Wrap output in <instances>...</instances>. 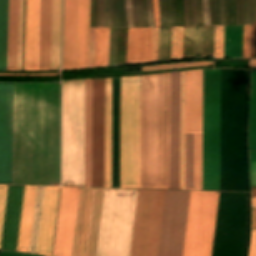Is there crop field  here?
Returning a JSON list of instances; mask_svg holds the SVG:
<instances>
[{"instance_id": "0fb4a251", "label": "crop field", "mask_w": 256, "mask_h": 256, "mask_svg": "<svg viewBox=\"0 0 256 256\" xmlns=\"http://www.w3.org/2000/svg\"><path fill=\"white\" fill-rule=\"evenodd\" d=\"M155 26H160L158 0H153Z\"/></svg>"}, {"instance_id": "1f1604b0", "label": "crop field", "mask_w": 256, "mask_h": 256, "mask_svg": "<svg viewBox=\"0 0 256 256\" xmlns=\"http://www.w3.org/2000/svg\"><path fill=\"white\" fill-rule=\"evenodd\" d=\"M97 38H98V29H96L95 67H96V57H97Z\"/></svg>"}, {"instance_id": "d8731c3e", "label": "crop field", "mask_w": 256, "mask_h": 256, "mask_svg": "<svg viewBox=\"0 0 256 256\" xmlns=\"http://www.w3.org/2000/svg\"><path fill=\"white\" fill-rule=\"evenodd\" d=\"M136 193L105 189L96 256H129Z\"/></svg>"}, {"instance_id": "dbb93151", "label": "crop field", "mask_w": 256, "mask_h": 256, "mask_svg": "<svg viewBox=\"0 0 256 256\" xmlns=\"http://www.w3.org/2000/svg\"><path fill=\"white\" fill-rule=\"evenodd\" d=\"M251 186H256V163L249 162Z\"/></svg>"}, {"instance_id": "b80d0937", "label": "crop field", "mask_w": 256, "mask_h": 256, "mask_svg": "<svg viewBox=\"0 0 256 256\" xmlns=\"http://www.w3.org/2000/svg\"><path fill=\"white\" fill-rule=\"evenodd\" d=\"M251 41V25L244 26L243 57L249 58Z\"/></svg>"}, {"instance_id": "733c2abd", "label": "crop field", "mask_w": 256, "mask_h": 256, "mask_svg": "<svg viewBox=\"0 0 256 256\" xmlns=\"http://www.w3.org/2000/svg\"><path fill=\"white\" fill-rule=\"evenodd\" d=\"M153 28H129L127 63L152 61Z\"/></svg>"}, {"instance_id": "214f88e0", "label": "crop field", "mask_w": 256, "mask_h": 256, "mask_svg": "<svg viewBox=\"0 0 256 256\" xmlns=\"http://www.w3.org/2000/svg\"><path fill=\"white\" fill-rule=\"evenodd\" d=\"M37 187L25 186L17 251L28 252Z\"/></svg>"}, {"instance_id": "1d79db26", "label": "crop field", "mask_w": 256, "mask_h": 256, "mask_svg": "<svg viewBox=\"0 0 256 256\" xmlns=\"http://www.w3.org/2000/svg\"><path fill=\"white\" fill-rule=\"evenodd\" d=\"M158 28H154L153 61L157 60Z\"/></svg>"}, {"instance_id": "c21b1889", "label": "crop field", "mask_w": 256, "mask_h": 256, "mask_svg": "<svg viewBox=\"0 0 256 256\" xmlns=\"http://www.w3.org/2000/svg\"><path fill=\"white\" fill-rule=\"evenodd\" d=\"M175 5V19H176V26H185V19H184V5L183 0H180V7H181V22H180V7H179V0H174Z\"/></svg>"}, {"instance_id": "00972430", "label": "crop field", "mask_w": 256, "mask_h": 256, "mask_svg": "<svg viewBox=\"0 0 256 256\" xmlns=\"http://www.w3.org/2000/svg\"><path fill=\"white\" fill-rule=\"evenodd\" d=\"M91 95L92 80H85V186H91Z\"/></svg>"}, {"instance_id": "c39391a2", "label": "crop field", "mask_w": 256, "mask_h": 256, "mask_svg": "<svg viewBox=\"0 0 256 256\" xmlns=\"http://www.w3.org/2000/svg\"><path fill=\"white\" fill-rule=\"evenodd\" d=\"M223 8H224V25H227V9H226V0H223Z\"/></svg>"}, {"instance_id": "920284fa", "label": "crop field", "mask_w": 256, "mask_h": 256, "mask_svg": "<svg viewBox=\"0 0 256 256\" xmlns=\"http://www.w3.org/2000/svg\"><path fill=\"white\" fill-rule=\"evenodd\" d=\"M151 8H152V21H153V26H154L152 0H151Z\"/></svg>"}, {"instance_id": "4a817a6b", "label": "crop field", "mask_w": 256, "mask_h": 256, "mask_svg": "<svg viewBox=\"0 0 256 256\" xmlns=\"http://www.w3.org/2000/svg\"><path fill=\"white\" fill-rule=\"evenodd\" d=\"M52 0H40L38 70H50Z\"/></svg>"}, {"instance_id": "db79e9e6", "label": "crop field", "mask_w": 256, "mask_h": 256, "mask_svg": "<svg viewBox=\"0 0 256 256\" xmlns=\"http://www.w3.org/2000/svg\"><path fill=\"white\" fill-rule=\"evenodd\" d=\"M171 26H175L173 0H169Z\"/></svg>"}, {"instance_id": "f4fd0767", "label": "crop field", "mask_w": 256, "mask_h": 256, "mask_svg": "<svg viewBox=\"0 0 256 256\" xmlns=\"http://www.w3.org/2000/svg\"><path fill=\"white\" fill-rule=\"evenodd\" d=\"M170 74L141 77L140 188L169 189Z\"/></svg>"}, {"instance_id": "447ae74e", "label": "crop field", "mask_w": 256, "mask_h": 256, "mask_svg": "<svg viewBox=\"0 0 256 256\" xmlns=\"http://www.w3.org/2000/svg\"><path fill=\"white\" fill-rule=\"evenodd\" d=\"M0 256H38V255H31V254H24V253L1 250Z\"/></svg>"}, {"instance_id": "f0312440", "label": "crop field", "mask_w": 256, "mask_h": 256, "mask_svg": "<svg viewBox=\"0 0 256 256\" xmlns=\"http://www.w3.org/2000/svg\"><path fill=\"white\" fill-rule=\"evenodd\" d=\"M147 4H148V11H149V20H150V26H152V22H151V9H150V0H147Z\"/></svg>"}, {"instance_id": "fb207236", "label": "crop field", "mask_w": 256, "mask_h": 256, "mask_svg": "<svg viewBox=\"0 0 256 256\" xmlns=\"http://www.w3.org/2000/svg\"><path fill=\"white\" fill-rule=\"evenodd\" d=\"M192 4H193V18H194V25H196L195 0H192Z\"/></svg>"}, {"instance_id": "5a996713", "label": "crop field", "mask_w": 256, "mask_h": 256, "mask_svg": "<svg viewBox=\"0 0 256 256\" xmlns=\"http://www.w3.org/2000/svg\"><path fill=\"white\" fill-rule=\"evenodd\" d=\"M120 187L139 188V77L121 78Z\"/></svg>"}, {"instance_id": "1f2cbd36", "label": "crop field", "mask_w": 256, "mask_h": 256, "mask_svg": "<svg viewBox=\"0 0 256 256\" xmlns=\"http://www.w3.org/2000/svg\"><path fill=\"white\" fill-rule=\"evenodd\" d=\"M204 25H210L208 0H203Z\"/></svg>"}, {"instance_id": "1d83c4d3", "label": "crop field", "mask_w": 256, "mask_h": 256, "mask_svg": "<svg viewBox=\"0 0 256 256\" xmlns=\"http://www.w3.org/2000/svg\"><path fill=\"white\" fill-rule=\"evenodd\" d=\"M44 187H38L29 252L35 253Z\"/></svg>"}, {"instance_id": "dafd665d", "label": "crop field", "mask_w": 256, "mask_h": 256, "mask_svg": "<svg viewBox=\"0 0 256 256\" xmlns=\"http://www.w3.org/2000/svg\"><path fill=\"white\" fill-rule=\"evenodd\" d=\"M19 0H9L7 70H17V30Z\"/></svg>"}, {"instance_id": "73cf0c24", "label": "crop field", "mask_w": 256, "mask_h": 256, "mask_svg": "<svg viewBox=\"0 0 256 256\" xmlns=\"http://www.w3.org/2000/svg\"><path fill=\"white\" fill-rule=\"evenodd\" d=\"M248 256H256V230H252L251 242Z\"/></svg>"}, {"instance_id": "92a150f3", "label": "crop field", "mask_w": 256, "mask_h": 256, "mask_svg": "<svg viewBox=\"0 0 256 256\" xmlns=\"http://www.w3.org/2000/svg\"><path fill=\"white\" fill-rule=\"evenodd\" d=\"M111 93L112 79H105V187H111Z\"/></svg>"}, {"instance_id": "0765c3eb", "label": "crop field", "mask_w": 256, "mask_h": 256, "mask_svg": "<svg viewBox=\"0 0 256 256\" xmlns=\"http://www.w3.org/2000/svg\"><path fill=\"white\" fill-rule=\"evenodd\" d=\"M104 6H105V0H101V6H100V27H104Z\"/></svg>"}, {"instance_id": "4177f3b9", "label": "crop field", "mask_w": 256, "mask_h": 256, "mask_svg": "<svg viewBox=\"0 0 256 256\" xmlns=\"http://www.w3.org/2000/svg\"><path fill=\"white\" fill-rule=\"evenodd\" d=\"M61 0H53L51 69H59Z\"/></svg>"}, {"instance_id": "c035e120", "label": "crop field", "mask_w": 256, "mask_h": 256, "mask_svg": "<svg viewBox=\"0 0 256 256\" xmlns=\"http://www.w3.org/2000/svg\"><path fill=\"white\" fill-rule=\"evenodd\" d=\"M22 26H23V0H20V25H19V55H18V70H21V56H22Z\"/></svg>"}, {"instance_id": "5d738f31", "label": "crop field", "mask_w": 256, "mask_h": 256, "mask_svg": "<svg viewBox=\"0 0 256 256\" xmlns=\"http://www.w3.org/2000/svg\"><path fill=\"white\" fill-rule=\"evenodd\" d=\"M95 28H90L89 67H94Z\"/></svg>"}, {"instance_id": "d23c7cc5", "label": "crop field", "mask_w": 256, "mask_h": 256, "mask_svg": "<svg viewBox=\"0 0 256 256\" xmlns=\"http://www.w3.org/2000/svg\"><path fill=\"white\" fill-rule=\"evenodd\" d=\"M256 20V0H248V24Z\"/></svg>"}, {"instance_id": "eef30255", "label": "crop field", "mask_w": 256, "mask_h": 256, "mask_svg": "<svg viewBox=\"0 0 256 256\" xmlns=\"http://www.w3.org/2000/svg\"><path fill=\"white\" fill-rule=\"evenodd\" d=\"M8 0H0V70H6Z\"/></svg>"}, {"instance_id": "f47e1a6f", "label": "crop field", "mask_w": 256, "mask_h": 256, "mask_svg": "<svg viewBox=\"0 0 256 256\" xmlns=\"http://www.w3.org/2000/svg\"><path fill=\"white\" fill-rule=\"evenodd\" d=\"M109 17H110V0H109ZM109 17H108V27H109Z\"/></svg>"}, {"instance_id": "60d6c31b", "label": "crop field", "mask_w": 256, "mask_h": 256, "mask_svg": "<svg viewBox=\"0 0 256 256\" xmlns=\"http://www.w3.org/2000/svg\"><path fill=\"white\" fill-rule=\"evenodd\" d=\"M1 251V250H0Z\"/></svg>"}, {"instance_id": "cbeb9de0", "label": "crop field", "mask_w": 256, "mask_h": 256, "mask_svg": "<svg viewBox=\"0 0 256 256\" xmlns=\"http://www.w3.org/2000/svg\"><path fill=\"white\" fill-rule=\"evenodd\" d=\"M94 188H79L71 256H86Z\"/></svg>"}, {"instance_id": "b54c1fbb", "label": "crop field", "mask_w": 256, "mask_h": 256, "mask_svg": "<svg viewBox=\"0 0 256 256\" xmlns=\"http://www.w3.org/2000/svg\"><path fill=\"white\" fill-rule=\"evenodd\" d=\"M6 189H7V186H0V237H1V229H2V221H3V213H4V205H5V197H6Z\"/></svg>"}, {"instance_id": "8a807250", "label": "crop field", "mask_w": 256, "mask_h": 256, "mask_svg": "<svg viewBox=\"0 0 256 256\" xmlns=\"http://www.w3.org/2000/svg\"><path fill=\"white\" fill-rule=\"evenodd\" d=\"M13 84H0V183L12 184ZM59 183V84H14L13 184Z\"/></svg>"}, {"instance_id": "7b73153f", "label": "crop field", "mask_w": 256, "mask_h": 256, "mask_svg": "<svg viewBox=\"0 0 256 256\" xmlns=\"http://www.w3.org/2000/svg\"><path fill=\"white\" fill-rule=\"evenodd\" d=\"M92 17H93V0H91V26L90 27H92ZM93 27H95V0H94Z\"/></svg>"}, {"instance_id": "ac0d7876", "label": "crop field", "mask_w": 256, "mask_h": 256, "mask_svg": "<svg viewBox=\"0 0 256 256\" xmlns=\"http://www.w3.org/2000/svg\"><path fill=\"white\" fill-rule=\"evenodd\" d=\"M220 70H203V190H219ZM185 189L202 190V70L186 72Z\"/></svg>"}, {"instance_id": "03da06ac", "label": "crop field", "mask_w": 256, "mask_h": 256, "mask_svg": "<svg viewBox=\"0 0 256 256\" xmlns=\"http://www.w3.org/2000/svg\"><path fill=\"white\" fill-rule=\"evenodd\" d=\"M214 8H213V16H214V25H221V6L220 0H213ZM222 5V0H221ZM222 25H223V9H222Z\"/></svg>"}, {"instance_id": "999ad59e", "label": "crop field", "mask_w": 256, "mask_h": 256, "mask_svg": "<svg viewBox=\"0 0 256 256\" xmlns=\"http://www.w3.org/2000/svg\"><path fill=\"white\" fill-rule=\"evenodd\" d=\"M251 188H256V187H251Z\"/></svg>"}, {"instance_id": "78b8030e", "label": "crop field", "mask_w": 256, "mask_h": 256, "mask_svg": "<svg viewBox=\"0 0 256 256\" xmlns=\"http://www.w3.org/2000/svg\"><path fill=\"white\" fill-rule=\"evenodd\" d=\"M252 228H256V208H252Z\"/></svg>"}, {"instance_id": "e52e79f7", "label": "crop field", "mask_w": 256, "mask_h": 256, "mask_svg": "<svg viewBox=\"0 0 256 256\" xmlns=\"http://www.w3.org/2000/svg\"><path fill=\"white\" fill-rule=\"evenodd\" d=\"M62 185L84 186V80L62 83Z\"/></svg>"}, {"instance_id": "e1f06a70", "label": "crop field", "mask_w": 256, "mask_h": 256, "mask_svg": "<svg viewBox=\"0 0 256 256\" xmlns=\"http://www.w3.org/2000/svg\"><path fill=\"white\" fill-rule=\"evenodd\" d=\"M214 27H203L202 56H213Z\"/></svg>"}, {"instance_id": "e1d0b9f6", "label": "crop field", "mask_w": 256, "mask_h": 256, "mask_svg": "<svg viewBox=\"0 0 256 256\" xmlns=\"http://www.w3.org/2000/svg\"><path fill=\"white\" fill-rule=\"evenodd\" d=\"M167 26H170L168 0H165Z\"/></svg>"}, {"instance_id": "3620e2b9", "label": "crop field", "mask_w": 256, "mask_h": 256, "mask_svg": "<svg viewBox=\"0 0 256 256\" xmlns=\"http://www.w3.org/2000/svg\"><path fill=\"white\" fill-rule=\"evenodd\" d=\"M163 6H164V0H163ZM164 20H165V6H164ZM165 26H166V20H165Z\"/></svg>"}, {"instance_id": "180be81f", "label": "crop field", "mask_w": 256, "mask_h": 256, "mask_svg": "<svg viewBox=\"0 0 256 256\" xmlns=\"http://www.w3.org/2000/svg\"><path fill=\"white\" fill-rule=\"evenodd\" d=\"M244 8H245V25L247 24V0H244Z\"/></svg>"}, {"instance_id": "425ffa30", "label": "crop field", "mask_w": 256, "mask_h": 256, "mask_svg": "<svg viewBox=\"0 0 256 256\" xmlns=\"http://www.w3.org/2000/svg\"><path fill=\"white\" fill-rule=\"evenodd\" d=\"M237 25H244L243 0H236Z\"/></svg>"}, {"instance_id": "34b2d1b8", "label": "crop field", "mask_w": 256, "mask_h": 256, "mask_svg": "<svg viewBox=\"0 0 256 256\" xmlns=\"http://www.w3.org/2000/svg\"><path fill=\"white\" fill-rule=\"evenodd\" d=\"M219 195H220V192H210V196H209V192H200V196H199V192L190 191L182 256H191L192 254L198 196H199V204H198L192 256L202 255L208 196H209V204H208V213H207L206 230H205L202 256H212ZM229 196H230V193H225V192H221V195H220L213 256L222 255L226 218H227V211H228V204H229ZM240 196H241V193H231V196H230V204H229L225 241H224L222 256H233ZM247 234H248V196H247V193H242L234 256H245Z\"/></svg>"}, {"instance_id": "730fd06b", "label": "crop field", "mask_w": 256, "mask_h": 256, "mask_svg": "<svg viewBox=\"0 0 256 256\" xmlns=\"http://www.w3.org/2000/svg\"><path fill=\"white\" fill-rule=\"evenodd\" d=\"M243 26L225 27L224 58L242 56Z\"/></svg>"}, {"instance_id": "d9b57169", "label": "crop field", "mask_w": 256, "mask_h": 256, "mask_svg": "<svg viewBox=\"0 0 256 256\" xmlns=\"http://www.w3.org/2000/svg\"><path fill=\"white\" fill-rule=\"evenodd\" d=\"M39 0H26L24 70H37Z\"/></svg>"}, {"instance_id": "ae1a2a85", "label": "crop field", "mask_w": 256, "mask_h": 256, "mask_svg": "<svg viewBox=\"0 0 256 256\" xmlns=\"http://www.w3.org/2000/svg\"><path fill=\"white\" fill-rule=\"evenodd\" d=\"M249 150L256 151V71H252L249 116Z\"/></svg>"}, {"instance_id": "bc2a9ffb", "label": "crop field", "mask_w": 256, "mask_h": 256, "mask_svg": "<svg viewBox=\"0 0 256 256\" xmlns=\"http://www.w3.org/2000/svg\"><path fill=\"white\" fill-rule=\"evenodd\" d=\"M120 168V78L113 79L112 94V187H119Z\"/></svg>"}, {"instance_id": "5edd877f", "label": "crop field", "mask_w": 256, "mask_h": 256, "mask_svg": "<svg viewBox=\"0 0 256 256\" xmlns=\"http://www.w3.org/2000/svg\"><path fill=\"white\" fill-rule=\"evenodd\" d=\"M145 5H146V11H147V4H146V0H145ZM147 20H148V11H147ZM148 26H149V21H148Z\"/></svg>"}, {"instance_id": "d3111659", "label": "crop field", "mask_w": 256, "mask_h": 256, "mask_svg": "<svg viewBox=\"0 0 256 256\" xmlns=\"http://www.w3.org/2000/svg\"><path fill=\"white\" fill-rule=\"evenodd\" d=\"M126 9L128 27H133V23L134 27L147 26L144 0H132L133 23L131 13V0H126Z\"/></svg>"}, {"instance_id": "0f1d7ab4", "label": "crop field", "mask_w": 256, "mask_h": 256, "mask_svg": "<svg viewBox=\"0 0 256 256\" xmlns=\"http://www.w3.org/2000/svg\"><path fill=\"white\" fill-rule=\"evenodd\" d=\"M161 26H164L162 0H159Z\"/></svg>"}, {"instance_id": "ae633e8c", "label": "crop field", "mask_w": 256, "mask_h": 256, "mask_svg": "<svg viewBox=\"0 0 256 256\" xmlns=\"http://www.w3.org/2000/svg\"><path fill=\"white\" fill-rule=\"evenodd\" d=\"M184 5H185L186 26H188V25H189V19H188V5H187V0H184Z\"/></svg>"}, {"instance_id": "dd49c442", "label": "crop field", "mask_w": 256, "mask_h": 256, "mask_svg": "<svg viewBox=\"0 0 256 256\" xmlns=\"http://www.w3.org/2000/svg\"><path fill=\"white\" fill-rule=\"evenodd\" d=\"M247 92L248 71L221 69L220 190L248 192Z\"/></svg>"}, {"instance_id": "28ad6ade", "label": "crop field", "mask_w": 256, "mask_h": 256, "mask_svg": "<svg viewBox=\"0 0 256 256\" xmlns=\"http://www.w3.org/2000/svg\"><path fill=\"white\" fill-rule=\"evenodd\" d=\"M180 72L171 73L170 189H179Z\"/></svg>"}, {"instance_id": "d1516ede", "label": "crop field", "mask_w": 256, "mask_h": 256, "mask_svg": "<svg viewBox=\"0 0 256 256\" xmlns=\"http://www.w3.org/2000/svg\"><path fill=\"white\" fill-rule=\"evenodd\" d=\"M64 187H61L53 256L56 253L59 221ZM78 188L65 187L56 256H69Z\"/></svg>"}, {"instance_id": "25e5ab78", "label": "crop field", "mask_w": 256, "mask_h": 256, "mask_svg": "<svg viewBox=\"0 0 256 256\" xmlns=\"http://www.w3.org/2000/svg\"><path fill=\"white\" fill-rule=\"evenodd\" d=\"M227 8H228V25H230L229 0H227ZM230 11H231V25H233V11H234V25H236L235 0H233V11H232V0H230Z\"/></svg>"}, {"instance_id": "9d1cf04e", "label": "crop field", "mask_w": 256, "mask_h": 256, "mask_svg": "<svg viewBox=\"0 0 256 256\" xmlns=\"http://www.w3.org/2000/svg\"><path fill=\"white\" fill-rule=\"evenodd\" d=\"M59 73L50 74H0V76H57Z\"/></svg>"}, {"instance_id": "3316defc", "label": "crop field", "mask_w": 256, "mask_h": 256, "mask_svg": "<svg viewBox=\"0 0 256 256\" xmlns=\"http://www.w3.org/2000/svg\"><path fill=\"white\" fill-rule=\"evenodd\" d=\"M90 0H65L63 69L88 67Z\"/></svg>"}, {"instance_id": "d14b1444", "label": "crop field", "mask_w": 256, "mask_h": 256, "mask_svg": "<svg viewBox=\"0 0 256 256\" xmlns=\"http://www.w3.org/2000/svg\"><path fill=\"white\" fill-rule=\"evenodd\" d=\"M170 43H171V27L169 28L167 59H170Z\"/></svg>"}, {"instance_id": "028f5c9d", "label": "crop field", "mask_w": 256, "mask_h": 256, "mask_svg": "<svg viewBox=\"0 0 256 256\" xmlns=\"http://www.w3.org/2000/svg\"><path fill=\"white\" fill-rule=\"evenodd\" d=\"M212 64H213V61L185 62V63H175V64H164V65L146 66V67H142V70L143 71H156V70L171 69V68L209 66V65H212Z\"/></svg>"}, {"instance_id": "5866460e", "label": "crop field", "mask_w": 256, "mask_h": 256, "mask_svg": "<svg viewBox=\"0 0 256 256\" xmlns=\"http://www.w3.org/2000/svg\"><path fill=\"white\" fill-rule=\"evenodd\" d=\"M195 27H184L183 58L194 57Z\"/></svg>"}, {"instance_id": "c3a83c6f", "label": "crop field", "mask_w": 256, "mask_h": 256, "mask_svg": "<svg viewBox=\"0 0 256 256\" xmlns=\"http://www.w3.org/2000/svg\"><path fill=\"white\" fill-rule=\"evenodd\" d=\"M107 17H108V0H106V7H105V27H107Z\"/></svg>"}, {"instance_id": "8de936bc", "label": "crop field", "mask_w": 256, "mask_h": 256, "mask_svg": "<svg viewBox=\"0 0 256 256\" xmlns=\"http://www.w3.org/2000/svg\"><path fill=\"white\" fill-rule=\"evenodd\" d=\"M252 200V206H256V198H251Z\"/></svg>"}, {"instance_id": "c821d689", "label": "crop field", "mask_w": 256, "mask_h": 256, "mask_svg": "<svg viewBox=\"0 0 256 256\" xmlns=\"http://www.w3.org/2000/svg\"><path fill=\"white\" fill-rule=\"evenodd\" d=\"M248 67H254V68H256V60H250Z\"/></svg>"}, {"instance_id": "0bd39190", "label": "crop field", "mask_w": 256, "mask_h": 256, "mask_svg": "<svg viewBox=\"0 0 256 256\" xmlns=\"http://www.w3.org/2000/svg\"><path fill=\"white\" fill-rule=\"evenodd\" d=\"M224 27H216L215 58H223Z\"/></svg>"}, {"instance_id": "d32e631a", "label": "crop field", "mask_w": 256, "mask_h": 256, "mask_svg": "<svg viewBox=\"0 0 256 256\" xmlns=\"http://www.w3.org/2000/svg\"><path fill=\"white\" fill-rule=\"evenodd\" d=\"M183 27H172L171 59L182 58Z\"/></svg>"}, {"instance_id": "7312dd0a", "label": "crop field", "mask_w": 256, "mask_h": 256, "mask_svg": "<svg viewBox=\"0 0 256 256\" xmlns=\"http://www.w3.org/2000/svg\"><path fill=\"white\" fill-rule=\"evenodd\" d=\"M210 4V18H211V25H213V17H212V7H213V2L212 0H209Z\"/></svg>"}, {"instance_id": "ade564c9", "label": "crop field", "mask_w": 256, "mask_h": 256, "mask_svg": "<svg viewBox=\"0 0 256 256\" xmlns=\"http://www.w3.org/2000/svg\"><path fill=\"white\" fill-rule=\"evenodd\" d=\"M188 4H189V18H190V25H193L191 0H188Z\"/></svg>"}, {"instance_id": "750c4746", "label": "crop field", "mask_w": 256, "mask_h": 256, "mask_svg": "<svg viewBox=\"0 0 256 256\" xmlns=\"http://www.w3.org/2000/svg\"><path fill=\"white\" fill-rule=\"evenodd\" d=\"M184 88L185 72H181L180 189H184Z\"/></svg>"}, {"instance_id": "c5b07064", "label": "crop field", "mask_w": 256, "mask_h": 256, "mask_svg": "<svg viewBox=\"0 0 256 256\" xmlns=\"http://www.w3.org/2000/svg\"><path fill=\"white\" fill-rule=\"evenodd\" d=\"M249 161L256 162V152H249Z\"/></svg>"}, {"instance_id": "a9b5d70f", "label": "crop field", "mask_w": 256, "mask_h": 256, "mask_svg": "<svg viewBox=\"0 0 256 256\" xmlns=\"http://www.w3.org/2000/svg\"><path fill=\"white\" fill-rule=\"evenodd\" d=\"M104 189L95 188L87 256H95Z\"/></svg>"}, {"instance_id": "bd1437ed", "label": "crop field", "mask_w": 256, "mask_h": 256, "mask_svg": "<svg viewBox=\"0 0 256 256\" xmlns=\"http://www.w3.org/2000/svg\"><path fill=\"white\" fill-rule=\"evenodd\" d=\"M110 27H127L125 0H111Z\"/></svg>"}, {"instance_id": "5142ce71", "label": "crop field", "mask_w": 256, "mask_h": 256, "mask_svg": "<svg viewBox=\"0 0 256 256\" xmlns=\"http://www.w3.org/2000/svg\"><path fill=\"white\" fill-rule=\"evenodd\" d=\"M59 187H45L36 254L51 256Z\"/></svg>"}, {"instance_id": "89e229c0", "label": "crop field", "mask_w": 256, "mask_h": 256, "mask_svg": "<svg viewBox=\"0 0 256 256\" xmlns=\"http://www.w3.org/2000/svg\"><path fill=\"white\" fill-rule=\"evenodd\" d=\"M255 44H256V22L252 24V41H251L250 58H254Z\"/></svg>"}, {"instance_id": "120bbe31", "label": "crop field", "mask_w": 256, "mask_h": 256, "mask_svg": "<svg viewBox=\"0 0 256 256\" xmlns=\"http://www.w3.org/2000/svg\"><path fill=\"white\" fill-rule=\"evenodd\" d=\"M109 29H99L97 66L108 65Z\"/></svg>"}, {"instance_id": "22f410ed", "label": "crop field", "mask_w": 256, "mask_h": 256, "mask_svg": "<svg viewBox=\"0 0 256 256\" xmlns=\"http://www.w3.org/2000/svg\"><path fill=\"white\" fill-rule=\"evenodd\" d=\"M24 186H8L0 249L16 251Z\"/></svg>"}, {"instance_id": "819c52e7", "label": "crop field", "mask_w": 256, "mask_h": 256, "mask_svg": "<svg viewBox=\"0 0 256 256\" xmlns=\"http://www.w3.org/2000/svg\"><path fill=\"white\" fill-rule=\"evenodd\" d=\"M98 7H99V0H97V7H96V28H98Z\"/></svg>"}, {"instance_id": "412701ff", "label": "crop field", "mask_w": 256, "mask_h": 256, "mask_svg": "<svg viewBox=\"0 0 256 256\" xmlns=\"http://www.w3.org/2000/svg\"><path fill=\"white\" fill-rule=\"evenodd\" d=\"M164 191L138 190L130 256H156ZM189 191H165L157 256H181Z\"/></svg>"}, {"instance_id": "a0ae1fb6", "label": "crop field", "mask_w": 256, "mask_h": 256, "mask_svg": "<svg viewBox=\"0 0 256 256\" xmlns=\"http://www.w3.org/2000/svg\"><path fill=\"white\" fill-rule=\"evenodd\" d=\"M252 197H256V189H251Z\"/></svg>"}]
</instances>
